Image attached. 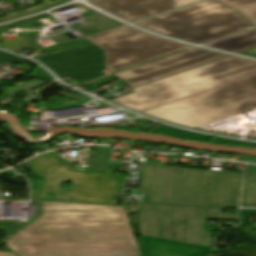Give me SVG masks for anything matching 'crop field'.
<instances>
[{
  "mask_svg": "<svg viewBox=\"0 0 256 256\" xmlns=\"http://www.w3.org/2000/svg\"><path fill=\"white\" fill-rule=\"evenodd\" d=\"M242 174L143 164L138 193L150 202L237 208Z\"/></svg>",
  "mask_w": 256,
  "mask_h": 256,
  "instance_id": "ac0d7876",
  "label": "crop field"
},
{
  "mask_svg": "<svg viewBox=\"0 0 256 256\" xmlns=\"http://www.w3.org/2000/svg\"><path fill=\"white\" fill-rule=\"evenodd\" d=\"M90 3L134 22L198 0H88Z\"/></svg>",
  "mask_w": 256,
  "mask_h": 256,
  "instance_id": "28ad6ade",
  "label": "crop field"
},
{
  "mask_svg": "<svg viewBox=\"0 0 256 256\" xmlns=\"http://www.w3.org/2000/svg\"><path fill=\"white\" fill-rule=\"evenodd\" d=\"M242 207H256V166L246 165Z\"/></svg>",
  "mask_w": 256,
  "mask_h": 256,
  "instance_id": "cbeb9de0",
  "label": "crop field"
},
{
  "mask_svg": "<svg viewBox=\"0 0 256 256\" xmlns=\"http://www.w3.org/2000/svg\"><path fill=\"white\" fill-rule=\"evenodd\" d=\"M156 132L157 133H163V134H169V135L182 136L184 138L201 140V141H204L207 137L206 135L191 133V132L171 128V127H168V126H165V125H162V124H160V126L158 127Z\"/></svg>",
  "mask_w": 256,
  "mask_h": 256,
  "instance_id": "d9b57169",
  "label": "crop field"
},
{
  "mask_svg": "<svg viewBox=\"0 0 256 256\" xmlns=\"http://www.w3.org/2000/svg\"><path fill=\"white\" fill-rule=\"evenodd\" d=\"M105 51L110 72L191 46L151 36L127 26L88 38Z\"/></svg>",
  "mask_w": 256,
  "mask_h": 256,
  "instance_id": "d8731c3e",
  "label": "crop field"
},
{
  "mask_svg": "<svg viewBox=\"0 0 256 256\" xmlns=\"http://www.w3.org/2000/svg\"><path fill=\"white\" fill-rule=\"evenodd\" d=\"M37 175L46 181L32 193L37 200L109 204L116 205L124 174L86 171H73L72 166L59 163L49 154L40 155L27 162ZM39 164L38 169L33 165ZM63 181L73 183L69 193L58 187ZM45 192H54L56 197L50 199ZM71 195L70 198L67 196Z\"/></svg>",
  "mask_w": 256,
  "mask_h": 256,
  "instance_id": "f4fd0767",
  "label": "crop field"
},
{
  "mask_svg": "<svg viewBox=\"0 0 256 256\" xmlns=\"http://www.w3.org/2000/svg\"><path fill=\"white\" fill-rule=\"evenodd\" d=\"M137 205L141 235L160 238L162 230L160 239L210 248L212 232H206L205 218L236 220V215L221 214L222 208L143 202H137Z\"/></svg>",
  "mask_w": 256,
  "mask_h": 256,
  "instance_id": "e52e79f7",
  "label": "crop field"
},
{
  "mask_svg": "<svg viewBox=\"0 0 256 256\" xmlns=\"http://www.w3.org/2000/svg\"><path fill=\"white\" fill-rule=\"evenodd\" d=\"M29 75L34 77L53 80V78L48 73H46L44 70H42L38 66H36Z\"/></svg>",
  "mask_w": 256,
  "mask_h": 256,
  "instance_id": "92a150f3",
  "label": "crop field"
},
{
  "mask_svg": "<svg viewBox=\"0 0 256 256\" xmlns=\"http://www.w3.org/2000/svg\"><path fill=\"white\" fill-rule=\"evenodd\" d=\"M59 77H70L83 84L104 75L103 50L92 45L41 58Z\"/></svg>",
  "mask_w": 256,
  "mask_h": 256,
  "instance_id": "3316defc",
  "label": "crop field"
},
{
  "mask_svg": "<svg viewBox=\"0 0 256 256\" xmlns=\"http://www.w3.org/2000/svg\"><path fill=\"white\" fill-rule=\"evenodd\" d=\"M142 237L145 256H208L210 248Z\"/></svg>",
  "mask_w": 256,
  "mask_h": 256,
  "instance_id": "d1516ede",
  "label": "crop field"
},
{
  "mask_svg": "<svg viewBox=\"0 0 256 256\" xmlns=\"http://www.w3.org/2000/svg\"><path fill=\"white\" fill-rule=\"evenodd\" d=\"M0 256H17L14 252H0Z\"/></svg>",
  "mask_w": 256,
  "mask_h": 256,
  "instance_id": "dafd665d",
  "label": "crop field"
},
{
  "mask_svg": "<svg viewBox=\"0 0 256 256\" xmlns=\"http://www.w3.org/2000/svg\"><path fill=\"white\" fill-rule=\"evenodd\" d=\"M213 142L223 143V144H231V145H238L239 143H243V145L256 146V143H249V142H243V141H237V140H231V139H225V138H219V137H215Z\"/></svg>",
  "mask_w": 256,
  "mask_h": 256,
  "instance_id": "bc2a9ffb",
  "label": "crop field"
},
{
  "mask_svg": "<svg viewBox=\"0 0 256 256\" xmlns=\"http://www.w3.org/2000/svg\"><path fill=\"white\" fill-rule=\"evenodd\" d=\"M4 244L19 256H139L120 206L45 202L44 215Z\"/></svg>",
  "mask_w": 256,
  "mask_h": 256,
  "instance_id": "8a807250",
  "label": "crop field"
},
{
  "mask_svg": "<svg viewBox=\"0 0 256 256\" xmlns=\"http://www.w3.org/2000/svg\"><path fill=\"white\" fill-rule=\"evenodd\" d=\"M256 74V62L234 56L159 80L112 100L140 112Z\"/></svg>",
  "mask_w": 256,
  "mask_h": 256,
  "instance_id": "34b2d1b8",
  "label": "crop field"
},
{
  "mask_svg": "<svg viewBox=\"0 0 256 256\" xmlns=\"http://www.w3.org/2000/svg\"><path fill=\"white\" fill-rule=\"evenodd\" d=\"M256 107V75L143 112L196 128Z\"/></svg>",
  "mask_w": 256,
  "mask_h": 256,
  "instance_id": "412701ff",
  "label": "crop field"
},
{
  "mask_svg": "<svg viewBox=\"0 0 256 256\" xmlns=\"http://www.w3.org/2000/svg\"><path fill=\"white\" fill-rule=\"evenodd\" d=\"M136 25L200 44L243 31L250 22L220 1L207 0Z\"/></svg>",
  "mask_w": 256,
  "mask_h": 256,
  "instance_id": "dd49c442",
  "label": "crop field"
},
{
  "mask_svg": "<svg viewBox=\"0 0 256 256\" xmlns=\"http://www.w3.org/2000/svg\"><path fill=\"white\" fill-rule=\"evenodd\" d=\"M114 78H116V77L111 74V75H109V76H107V77H104V78H102V79H99V80L90 82V83H88V84H85V86H87L88 88H86V89H84V90L87 91V92H89V91H91V90L97 88L98 86H100V85H102V84H104V83H106V82H108V81L114 79Z\"/></svg>",
  "mask_w": 256,
  "mask_h": 256,
  "instance_id": "4a817a6b",
  "label": "crop field"
},
{
  "mask_svg": "<svg viewBox=\"0 0 256 256\" xmlns=\"http://www.w3.org/2000/svg\"><path fill=\"white\" fill-rule=\"evenodd\" d=\"M87 44H91V43L88 40L83 39V40H78V41H74V42L60 44V45L45 49L43 51L47 54L48 53H56V52L72 49V48L87 45Z\"/></svg>",
  "mask_w": 256,
  "mask_h": 256,
  "instance_id": "733c2abd",
  "label": "crop field"
},
{
  "mask_svg": "<svg viewBox=\"0 0 256 256\" xmlns=\"http://www.w3.org/2000/svg\"><path fill=\"white\" fill-rule=\"evenodd\" d=\"M229 55L194 48L114 74L132 88L159 78L183 72Z\"/></svg>",
  "mask_w": 256,
  "mask_h": 256,
  "instance_id": "5a996713",
  "label": "crop field"
},
{
  "mask_svg": "<svg viewBox=\"0 0 256 256\" xmlns=\"http://www.w3.org/2000/svg\"><path fill=\"white\" fill-rule=\"evenodd\" d=\"M242 54H246V55H250V56L256 57V49H253V50L244 52V53H242Z\"/></svg>",
  "mask_w": 256,
  "mask_h": 256,
  "instance_id": "00972430",
  "label": "crop field"
},
{
  "mask_svg": "<svg viewBox=\"0 0 256 256\" xmlns=\"http://www.w3.org/2000/svg\"><path fill=\"white\" fill-rule=\"evenodd\" d=\"M20 57L0 51V64L17 62Z\"/></svg>",
  "mask_w": 256,
  "mask_h": 256,
  "instance_id": "214f88e0",
  "label": "crop field"
},
{
  "mask_svg": "<svg viewBox=\"0 0 256 256\" xmlns=\"http://www.w3.org/2000/svg\"><path fill=\"white\" fill-rule=\"evenodd\" d=\"M245 15L256 27V0H220Z\"/></svg>",
  "mask_w": 256,
  "mask_h": 256,
  "instance_id": "5142ce71",
  "label": "crop field"
},
{
  "mask_svg": "<svg viewBox=\"0 0 256 256\" xmlns=\"http://www.w3.org/2000/svg\"><path fill=\"white\" fill-rule=\"evenodd\" d=\"M205 46L216 47L237 53L256 48V29L210 44H205Z\"/></svg>",
  "mask_w": 256,
  "mask_h": 256,
  "instance_id": "22f410ed",
  "label": "crop field"
}]
</instances>
